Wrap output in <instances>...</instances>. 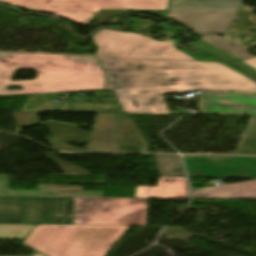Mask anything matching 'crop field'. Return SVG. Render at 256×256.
I'll return each mask as SVG.
<instances>
[{
	"mask_svg": "<svg viewBox=\"0 0 256 256\" xmlns=\"http://www.w3.org/2000/svg\"><path fill=\"white\" fill-rule=\"evenodd\" d=\"M17 69L37 70V78L10 81ZM104 77L95 57L0 52V96L103 90Z\"/></svg>",
	"mask_w": 256,
	"mask_h": 256,
	"instance_id": "obj_1",
	"label": "crop field"
},
{
	"mask_svg": "<svg viewBox=\"0 0 256 256\" xmlns=\"http://www.w3.org/2000/svg\"><path fill=\"white\" fill-rule=\"evenodd\" d=\"M147 199L26 197L24 224L145 226Z\"/></svg>",
	"mask_w": 256,
	"mask_h": 256,
	"instance_id": "obj_2",
	"label": "crop field"
},
{
	"mask_svg": "<svg viewBox=\"0 0 256 256\" xmlns=\"http://www.w3.org/2000/svg\"><path fill=\"white\" fill-rule=\"evenodd\" d=\"M106 90L234 84L197 61L97 57Z\"/></svg>",
	"mask_w": 256,
	"mask_h": 256,
	"instance_id": "obj_3",
	"label": "crop field"
},
{
	"mask_svg": "<svg viewBox=\"0 0 256 256\" xmlns=\"http://www.w3.org/2000/svg\"><path fill=\"white\" fill-rule=\"evenodd\" d=\"M128 227L37 225L23 244L48 256H105Z\"/></svg>",
	"mask_w": 256,
	"mask_h": 256,
	"instance_id": "obj_4",
	"label": "crop field"
},
{
	"mask_svg": "<svg viewBox=\"0 0 256 256\" xmlns=\"http://www.w3.org/2000/svg\"><path fill=\"white\" fill-rule=\"evenodd\" d=\"M208 68L235 82L234 85L165 88L114 91L121 109L124 113H150L170 114L161 94L177 92H194L204 90L206 92H253L256 91V83L218 64L201 62Z\"/></svg>",
	"mask_w": 256,
	"mask_h": 256,
	"instance_id": "obj_5",
	"label": "crop field"
},
{
	"mask_svg": "<svg viewBox=\"0 0 256 256\" xmlns=\"http://www.w3.org/2000/svg\"><path fill=\"white\" fill-rule=\"evenodd\" d=\"M243 0H171L169 17L194 32L226 33Z\"/></svg>",
	"mask_w": 256,
	"mask_h": 256,
	"instance_id": "obj_6",
	"label": "crop field"
},
{
	"mask_svg": "<svg viewBox=\"0 0 256 256\" xmlns=\"http://www.w3.org/2000/svg\"><path fill=\"white\" fill-rule=\"evenodd\" d=\"M98 45L96 56H123L193 60L174 47V41L162 43L133 33L101 30L92 36Z\"/></svg>",
	"mask_w": 256,
	"mask_h": 256,
	"instance_id": "obj_7",
	"label": "crop field"
},
{
	"mask_svg": "<svg viewBox=\"0 0 256 256\" xmlns=\"http://www.w3.org/2000/svg\"><path fill=\"white\" fill-rule=\"evenodd\" d=\"M189 177L256 178V157L183 156Z\"/></svg>",
	"mask_w": 256,
	"mask_h": 256,
	"instance_id": "obj_8",
	"label": "crop field"
},
{
	"mask_svg": "<svg viewBox=\"0 0 256 256\" xmlns=\"http://www.w3.org/2000/svg\"><path fill=\"white\" fill-rule=\"evenodd\" d=\"M198 108L202 114L256 115V93H211L198 99Z\"/></svg>",
	"mask_w": 256,
	"mask_h": 256,
	"instance_id": "obj_9",
	"label": "crop field"
},
{
	"mask_svg": "<svg viewBox=\"0 0 256 256\" xmlns=\"http://www.w3.org/2000/svg\"><path fill=\"white\" fill-rule=\"evenodd\" d=\"M99 8L93 0H48L39 11L86 26Z\"/></svg>",
	"mask_w": 256,
	"mask_h": 256,
	"instance_id": "obj_10",
	"label": "crop field"
},
{
	"mask_svg": "<svg viewBox=\"0 0 256 256\" xmlns=\"http://www.w3.org/2000/svg\"><path fill=\"white\" fill-rule=\"evenodd\" d=\"M38 11L47 0H0ZM101 9L166 10L168 0H94Z\"/></svg>",
	"mask_w": 256,
	"mask_h": 256,
	"instance_id": "obj_11",
	"label": "crop field"
},
{
	"mask_svg": "<svg viewBox=\"0 0 256 256\" xmlns=\"http://www.w3.org/2000/svg\"><path fill=\"white\" fill-rule=\"evenodd\" d=\"M191 199L256 200V180L212 187L192 193Z\"/></svg>",
	"mask_w": 256,
	"mask_h": 256,
	"instance_id": "obj_12",
	"label": "crop field"
},
{
	"mask_svg": "<svg viewBox=\"0 0 256 256\" xmlns=\"http://www.w3.org/2000/svg\"><path fill=\"white\" fill-rule=\"evenodd\" d=\"M135 197L189 199L186 178L160 177L156 187L137 186Z\"/></svg>",
	"mask_w": 256,
	"mask_h": 256,
	"instance_id": "obj_13",
	"label": "crop field"
},
{
	"mask_svg": "<svg viewBox=\"0 0 256 256\" xmlns=\"http://www.w3.org/2000/svg\"><path fill=\"white\" fill-rule=\"evenodd\" d=\"M39 191L9 190V195L20 196H84L102 197L103 192H82L81 187H68L61 185L38 186Z\"/></svg>",
	"mask_w": 256,
	"mask_h": 256,
	"instance_id": "obj_14",
	"label": "crop field"
},
{
	"mask_svg": "<svg viewBox=\"0 0 256 256\" xmlns=\"http://www.w3.org/2000/svg\"><path fill=\"white\" fill-rule=\"evenodd\" d=\"M25 198L0 196V223L23 224Z\"/></svg>",
	"mask_w": 256,
	"mask_h": 256,
	"instance_id": "obj_15",
	"label": "crop field"
},
{
	"mask_svg": "<svg viewBox=\"0 0 256 256\" xmlns=\"http://www.w3.org/2000/svg\"><path fill=\"white\" fill-rule=\"evenodd\" d=\"M154 156L161 176L186 177L179 156Z\"/></svg>",
	"mask_w": 256,
	"mask_h": 256,
	"instance_id": "obj_16",
	"label": "crop field"
},
{
	"mask_svg": "<svg viewBox=\"0 0 256 256\" xmlns=\"http://www.w3.org/2000/svg\"><path fill=\"white\" fill-rule=\"evenodd\" d=\"M234 154H256V116H252Z\"/></svg>",
	"mask_w": 256,
	"mask_h": 256,
	"instance_id": "obj_17",
	"label": "crop field"
},
{
	"mask_svg": "<svg viewBox=\"0 0 256 256\" xmlns=\"http://www.w3.org/2000/svg\"><path fill=\"white\" fill-rule=\"evenodd\" d=\"M201 36V40L208 42L242 60L253 58L252 55L247 53L246 50L224 40L223 38L217 36V35H199Z\"/></svg>",
	"mask_w": 256,
	"mask_h": 256,
	"instance_id": "obj_18",
	"label": "crop field"
},
{
	"mask_svg": "<svg viewBox=\"0 0 256 256\" xmlns=\"http://www.w3.org/2000/svg\"><path fill=\"white\" fill-rule=\"evenodd\" d=\"M35 225H6L0 224V238L25 239ZM32 256H43L35 252Z\"/></svg>",
	"mask_w": 256,
	"mask_h": 256,
	"instance_id": "obj_19",
	"label": "crop field"
},
{
	"mask_svg": "<svg viewBox=\"0 0 256 256\" xmlns=\"http://www.w3.org/2000/svg\"><path fill=\"white\" fill-rule=\"evenodd\" d=\"M186 46L197 48V49L201 50L203 53H206V54L221 55V56H223V57H225L229 60H232V61H234L238 64H241V65L251 69L252 74H253V78L256 79V69L255 68L243 63L242 61H240V60H238V59H236V58H234V57H232V56H230V55H228V54H226V53H224V52H222V51H220V50H218V49H216V48H214V47H212V46H210V45H208V44H206L202 41H199L197 43L187 44Z\"/></svg>",
	"mask_w": 256,
	"mask_h": 256,
	"instance_id": "obj_20",
	"label": "crop field"
},
{
	"mask_svg": "<svg viewBox=\"0 0 256 256\" xmlns=\"http://www.w3.org/2000/svg\"><path fill=\"white\" fill-rule=\"evenodd\" d=\"M183 52H184L185 54L189 55L190 57H192V58L198 60V61L218 62V63H220V64H222V65H224V66L230 68L231 70H233V71H235V72H237V73H239V74H241V75H243V76H245V77L248 78V73H247V71H244V70H242V69H240V68H238V67H235V66H233V65H231V64H229V63H227V62L220 61V60H217V59H203V58L197 57L196 55L192 54V53L189 52V51H183Z\"/></svg>",
	"mask_w": 256,
	"mask_h": 256,
	"instance_id": "obj_21",
	"label": "crop field"
},
{
	"mask_svg": "<svg viewBox=\"0 0 256 256\" xmlns=\"http://www.w3.org/2000/svg\"><path fill=\"white\" fill-rule=\"evenodd\" d=\"M0 192L3 195H8V177L0 174Z\"/></svg>",
	"mask_w": 256,
	"mask_h": 256,
	"instance_id": "obj_22",
	"label": "crop field"
},
{
	"mask_svg": "<svg viewBox=\"0 0 256 256\" xmlns=\"http://www.w3.org/2000/svg\"><path fill=\"white\" fill-rule=\"evenodd\" d=\"M254 67H256V58L244 61Z\"/></svg>",
	"mask_w": 256,
	"mask_h": 256,
	"instance_id": "obj_23",
	"label": "crop field"
}]
</instances>
